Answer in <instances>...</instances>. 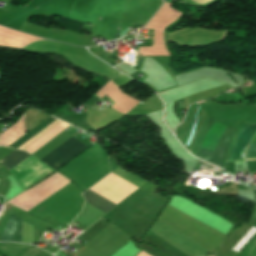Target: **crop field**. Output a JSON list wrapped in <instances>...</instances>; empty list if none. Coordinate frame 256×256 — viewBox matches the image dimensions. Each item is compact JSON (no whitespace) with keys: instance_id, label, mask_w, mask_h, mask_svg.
<instances>
[{"instance_id":"e52e79f7","label":"crop field","mask_w":256,"mask_h":256,"mask_svg":"<svg viewBox=\"0 0 256 256\" xmlns=\"http://www.w3.org/2000/svg\"><path fill=\"white\" fill-rule=\"evenodd\" d=\"M246 161H256V144L251 143L247 150Z\"/></svg>"},{"instance_id":"ac0d7876","label":"crop field","mask_w":256,"mask_h":256,"mask_svg":"<svg viewBox=\"0 0 256 256\" xmlns=\"http://www.w3.org/2000/svg\"><path fill=\"white\" fill-rule=\"evenodd\" d=\"M23 219L14 215L9 219L0 241L21 242ZM34 226L24 222L22 241L33 242Z\"/></svg>"},{"instance_id":"34b2d1b8","label":"crop field","mask_w":256,"mask_h":256,"mask_svg":"<svg viewBox=\"0 0 256 256\" xmlns=\"http://www.w3.org/2000/svg\"><path fill=\"white\" fill-rule=\"evenodd\" d=\"M226 128L227 125L214 122L200 148L214 151Z\"/></svg>"},{"instance_id":"28ad6ade","label":"crop field","mask_w":256,"mask_h":256,"mask_svg":"<svg viewBox=\"0 0 256 256\" xmlns=\"http://www.w3.org/2000/svg\"><path fill=\"white\" fill-rule=\"evenodd\" d=\"M7 126H9L10 124H6Z\"/></svg>"},{"instance_id":"22f410ed","label":"crop field","mask_w":256,"mask_h":256,"mask_svg":"<svg viewBox=\"0 0 256 256\" xmlns=\"http://www.w3.org/2000/svg\"><path fill=\"white\" fill-rule=\"evenodd\" d=\"M3 125V124H0V126Z\"/></svg>"},{"instance_id":"f4fd0767","label":"crop field","mask_w":256,"mask_h":256,"mask_svg":"<svg viewBox=\"0 0 256 256\" xmlns=\"http://www.w3.org/2000/svg\"><path fill=\"white\" fill-rule=\"evenodd\" d=\"M28 156L30 155L27 154L26 152L15 150L11 154H9L7 157H5L3 160H1L0 163H2L6 168L10 170L14 166L19 164L21 161L26 159Z\"/></svg>"},{"instance_id":"412701ff","label":"crop field","mask_w":256,"mask_h":256,"mask_svg":"<svg viewBox=\"0 0 256 256\" xmlns=\"http://www.w3.org/2000/svg\"><path fill=\"white\" fill-rule=\"evenodd\" d=\"M82 195L88 203L94 205L95 207L106 213L116 206L89 190Z\"/></svg>"},{"instance_id":"d1516ede","label":"crop field","mask_w":256,"mask_h":256,"mask_svg":"<svg viewBox=\"0 0 256 256\" xmlns=\"http://www.w3.org/2000/svg\"><path fill=\"white\" fill-rule=\"evenodd\" d=\"M98 96V95H97ZM99 98H101L100 96H98Z\"/></svg>"},{"instance_id":"3316defc","label":"crop field","mask_w":256,"mask_h":256,"mask_svg":"<svg viewBox=\"0 0 256 256\" xmlns=\"http://www.w3.org/2000/svg\"><path fill=\"white\" fill-rule=\"evenodd\" d=\"M245 154V153H244ZM243 161H244V155H243Z\"/></svg>"},{"instance_id":"8a807250","label":"crop field","mask_w":256,"mask_h":256,"mask_svg":"<svg viewBox=\"0 0 256 256\" xmlns=\"http://www.w3.org/2000/svg\"><path fill=\"white\" fill-rule=\"evenodd\" d=\"M72 137L40 160L56 170L76 155L89 148Z\"/></svg>"},{"instance_id":"5a996713","label":"crop field","mask_w":256,"mask_h":256,"mask_svg":"<svg viewBox=\"0 0 256 256\" xmlns=\"http://www.w3.org/2000/svg\"><path fill=\"white\" fill-rule=\"evenodd\" d=\"M138 256H150V255H148V254H146L145 252H141Z\"/></svg>"},{"instance_id":"d8731c3e","label":"crop field","mask_w":256,"mask_h":256,"mask_svg":"<svg viewBox=\"0 0 256 256\" xmlns=\"http://www.w3.org/2000/svg\"><path fill=\"white\" fill-rule=\"evenodd\" d=\"M196 106H197V104H195V108H194V111H193V115H192L191 124H192V121H193V117H194V113H195V110H196ZM191 124H190V126H191ZM190 126H189V128H188V130H187V133H188V131H189V129H190ZM187 133H186V135H185V137H184V139H183L182 143H184V141H185V138H186V136H187Z\"/></svg>"},{"instance_id":"dd49c442","label":"crop field","mask_w":256,"mask_h":256,"mask_svg":"<svg viewBox=\"0 0 256 256\" xmlns=\"http://www.w3.org/2000/svg\"><path fill=\"white\" fill-rule=\"evenodd\" d=\"M256 233V228L252 227L248 233L237 243V245L233 248L235 251H239L249 240L250 238Z\"/></svg>"}]
</instances>
